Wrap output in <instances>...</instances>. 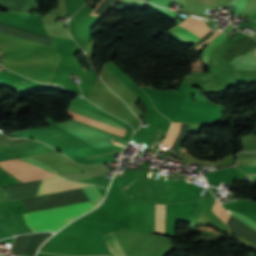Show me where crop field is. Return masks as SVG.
I'll return each instance as SVG.
<instances>
[{
	"label": "crop field",
	"instance_id": "obj_1",
	"mask_svg": "<svg viewBox=\"0 0 256 256\" xmlns=\"http://www.w3.org/2000/svg\"><path fill=\"white\" fill-rule=\"evenodd\" d=\"M94 207L95 205L92 203L86 202L29 212L23 215L26 224L33 232L43 230L55 232L69 221L93 209Z\"/></svg>",
	"mask_w": 256,
	"mask_h": 256
},
{
	"label": "crop field",
	"instance_id": "obj_2",
	"mask_svg": "<svg viewBox=\"0 0 256 256\" xmlns=\"http://www.w3.org/2000/svg\"><path fill=\"white\" fill-rule=\"evenodd\" d=\"M52 233L41 232L16 237L11 251L34 256L38 246L46 240Z\"/></svg>",
	"mask_w": 256,
	"mask_h": 256
},
{
	"label": "crop field",
	"instance_id": "obj_3",
	"mask_svg": "<svg viewBox=\"0 0 256 256\" xmlns=\"http://www.w3.org/2000/svg\"><path fill=\"white\" fill-rule=\"evenodd\" d=\"M172 30L180 33L195 43L199 41L204 35H206L207 32L211 29H209L202 20L189 16L186 20H184L181 24Z\"/></svg>",
	"mask_w": 256,
	"mask_h": 256
},
{
	"label": "crop field",
	"instance_id": "obj_4",
	"mask_svg": "<svg viewBox=\"0 0 256 256\" xmlns=\"http://www.w3.org/2000/svg\"><path fill=\"white\" fill-rule=\"evenodd\" d=\"M88 186H92V185L71 182L61 177H55L51 179L42 180L36 196L56 193L61 191H67L72 189H78V188H83Z\"/></svg>",
	"mask_w": 256,
	"mask_h": 256
},
{
	"label": "crop field",
	"instance_id": "obj_5",
	"mask_svg": "<svg viewBox=\"0 0 256 256\" xmlns=\"http://www.w3.org/2000/svg\"><path fill=\"white\" fill-rule=\"evenodd\" d=\"M68 110L71 111V112H74V113H76V114H79V115H81V116H84V117L89 118V119H91V120L97 121V122H99V123H102V124H104V125H107V126H109V127H112V128H114V129H117V130L122 131V132L125 133V130H126V129L123 128L121 125H119L118 123H116V122L113 121V120L100 117V116H98V115H95V114H93V113H90V112H88V111H85V110H83V109H81V108H78V107H76V106H73V105H71V104L69 105Z\"/></svg>",
	"mask_w": 256,
	"mask_h": 256
},
{
	"label": "crop field",
	"instance_id": "obj_6",
	"mask_svg": "<svg viewBox=\"0 0 256 256\" xmlns=\"http://www.w3.org/2000/svg\"><path fill=\"white\" fill-rule=\"evenodd\" d=\"M12 164H14L16 167H18L20 170H22L24 173H26L28 176L33 178L34 180L55 176L52 173H49L47 171H44L40 168H37L35 166H32L28 163L22 162L17 159L9 160Z\"/></svg>",
	"mask_w": 256,
	"mask_h": 256
},
{
	"label": "crop field",
	"instance_id": "obj_7",
	"mask_svg": "<svg viewBox=\"0 0 256 256\" xmlns=\"http://www.w3.org/2000/svg\"><path fill=\"white\" fill-rule=\"evenodd\" d=\"M165 205L156 204L155 233L164 234Z\"/></svg>",
	"mask_w": 256,
	"mask_h": 256
},
{
	"label": "crop field",
	"instance_id": "obj_8",
	"mask_svg": "<svg viewBox=\"0 0 256 256\" xmlns=\"http://www.w3.org/2000/svg\"><path fill=\"white\" fill-rule=\"evenodd\" d=\"M105 241L108 245L109 250L115 255V256H125L122 248L120 247L118 241L116 240L113 232L110 234H107L104 236Z\"/></svg>",
	"mask_w": 256,
	"mask_h": 256
},
{
	"label": "crop field",
	"instance_id": "obj_9",
	"mask_svg": "<svg viewBox=\"0 0 256 256\" xmlns=\"http://www.w3.org/2000/svg\"><path fill=\"white\" fill-rule=\"evenodd\" d=\"M227 37V34L225 33H221L218 37H216L210 44H208L206 46V48L203 51V59H205L206 61H208L209 55L211 53V51L220 43H222ZM204 60V61H205Z\"/></svg>",
	"mask_w": 256,
	"mask_h": 256
},
{
	"label": "crop field",
	"instance_id": "obj_10",
	"mask_svg": "<svg viewBox=\"0 0 256 256\" xmlns=\"http://www.w3.org/2000/svg\"><path fill=\"white\" fill-rule=\"evenodd\" d=\"M181 123H172L171 129L164 139L163 146L170 147L179 133Z\"/></svg>",
	"mask_w": 256,
	"mask_h": 256
},
{
	"label": "crop field",
	"instance_id": "obj_11",
	"mask_svg": "<svg viewBox=\"0 0 256 256\" xmlns=\"http://www.w3.org/2000/svg\"><path fill=\"white\" fill-rule=\"evenodd\" d=\"M83 191L85 192L89 200L95 205L99 203L102 198L101 194L98 192L95 186L83 188Z\"/></svg>",
	"mask_w": 256,
	"mask_h": 256
},
{
	"label": "crop field",
	"instance_id": "obj_12",
	"mask_svg": "<svg viewBox=\"0 0 256 256\" xmlns=\"http://www.w3.org/2000/svg\"><path fill=\"white\" fill-rule=\"evenodd\" d=\"M67 14H74L81 7L85 0H65Z\"/></svg>",
	"mask_w": 256,
	"mask_h": 256
},
{
	"label": "crop field",
	"instance_id": "obj_13",
	"mask_svg": "<svg viewBox=\"0 0 256 256\" xmlns=\"http://www.w3.org/2000/svg\"><path fill=\"white\" fill-rule=\"evenodd\" d=\"M228 212L235 216L236 218H238L239 220L243 221L244 223L248 224L249 226H251L253 229L256 230V223L253 222L251 219H249L248 217L238 213V212H234V211H231V210H228Z\"/></svg>",
	"mask_w": 256,
	"mask_h": 256
},
{
	"label": "crop field",
	"instance_id": "obj_14",
	"mask_svg": "<svg viewBox=\"0 0 256 256\" xmlns=\"http://www.w3.org/2000/svg\"><path fill=\"white\" fill-rule=\"evenodd\" d=\"M19 159H20V160H23V161H25V162H28V163H30V164L36 165V166H38V167H41V168H43V169H46V170H48V171H51V172L56 173L54 170H52L51 168H49L48 166L44 165L43 163H41V162H39V161H37V160L31 159V158H29V157H24V158H19ZM56 174H57V173H56Z\"/></svg>",
	"mask_w": 256,
	"mask_h": 256
},
{
	"label": "crop field",
	"instance_id": "obj_15",
	"mask_svg": "<svg viewBox=\"0 0 256 256\" xmlns=\"http://www.w3.org/2000/svg\"><path fill=\"white\" fill-rule=\"evenodd\" d=\"M252 179L256 180V176H250Z\"/></svg>",
	"mask_w": 256,
	"mask_h": 256
},
{
	"label": "crop field",
	"instance_id": "obj_16",
	"mask_svg": "<svg viewBox=\"0 0 256 256\" xmlns=\"http://www.w3.org/2000/svg\"><path fill=\"white\" fill-rule=\"evenodd\" d=\"M256 53V52H255Z\"/></svg>",
	"mask_w": 256,
	"mask_h": 256
}]
</instances>
